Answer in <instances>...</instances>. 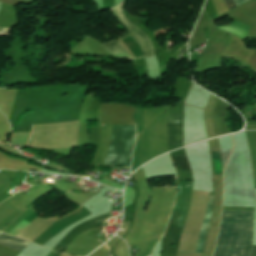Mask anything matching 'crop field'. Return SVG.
Segmentation results:
<instances>
[{
    "mask_svg": "<svg viewBox=\"0 0 256 256\" xmlns=\"http://www.w3.org/2000/svg\"><path fill=\"white\" fill-rule=\"evenodd\" d=\"M135 139L134 125L110 126L104 166L126 165Z\"/></svg>",
    "mask_w": 256,
    "mask_h": 256,
    "instance_id": "8a807250",
    "label": "crop field"
},
{
    "mask_svg": "<svg viewBox=\"0 0 256 256\" xmlns=\"http://www.w3.org/2000/svg\"><path fill=\"white\" fill-rule=\"evenodd\" d=\"M124 2L119 6L112 8V12L117 20L122 23L128 30V35L133 38L141 47L143 56L154 55L153 49L151 46L150 39L147 35L141 32L138 28H136L124 15Z\"/></svg>",
    "mask_w": 256,
    "mask_h": 256,
    "instance_id": "ac0d7876",
    "label": "crop field"
},
{
    "mask_svg": "<svg viewBox=\"0 0 256 256\" xmlns=\"http://www.w3.org/2000/svg\"><path fill=\"white\" fill-rule=\"evenodd\" d=\"M212 204H213V193H210L209 207H208L207 214H206V217L204 220L203 228L201 231V235L199 238V242H198V246H197L195 254L203 253L207 230H208V226H209V222H210V218H211Z\"/></svg>",
    "mask_w": 256,
    "mask_h": 256,
    "instance_id": "34b2d1b8",
    "label": "crop field"
},
{
    "mask_svg": "<svg viewBox=\"0 0 256 256\" xmlns=\"http://www.w3.org/2000/svg\"><path fill=\"white\" fill-rule=\"evenodd\" d=\"M103 47L115 58L119 59H132L131 56L126 52V50L121 46L118 40L103 43Z\"/></svg>",
    "mask_w": 256,
    "mask_h": 256,
    "instance_id": "412701ff",
    "label": "crop field"
},
{
    "mask_svg": "<svg viewBox=\"0 0 256 256\" xmlns=\"http://www.w3.org/2000/svg\"><path fill=\"white\" fill-rule=\"evenodd\" d=\"M0 244L6 245L8 247L21 251L25 246L29 244V242L19 238L12 237V236L4 235L1 233Z\"/></svg>",
    "mask_w": 256,
    "mask_h": 256,
    "instance_id": "f4fd0767",
    "label": "crop field"
},
{
    "mask_svg": "<svg viewBox=\"0 0 256 256\" xmlns=\"http://www.w3.org/2000/svg\"><path fill=\"white\" fill-rule=\"evenodd\" d=\"M182 125H168V144L182 141Z\"/></svg>",
    "mask_w": 256,
    "mask_h": 256,
    "instance_id": "dd49c442",
    "label": "crop field"
},
{
    "mask_svg": "<svg viewBox=\"0 0 256 256\" xmlns=\"http://www.w3.org/2000/svg\"><path fill=\"white\" fill-rule=\"evenodd\" d=\"M143 132L139 135H137L135 147H134V152H133V159H132V167H131V173L138 167H140V154H139V149H140V144H141V139H142Z\"/></svg>",
    "mask_w": 256,
    "mask_h": 256,
    "instance_id": "e52e79f7",
    "label": "crop field"
},
{
    "mask_svg": "<svg viewBox=\"0 0 256 256\" xmlns=\"http://www.w3.org/2000/svg\"><path fill=\"white\" fill-rule=\"evenodd\" d=\"M134 121L136 124L137 134H139L141 131H143V121H142V110L136 108L135 114H134Z\"/></svg>",
    "mask_w": 256,
    "mask_h": 256,
    "instance_id": "d8731c3e",
    "label": "crop field"
},
{
    "mask_svg": "<svg viewBox=\"0 0 256 256\" xmlns=\"http://www.w3.org/2000/svg\"><path fill=\"white\" fill-rule=\"evenodd\" d=\"M224 1H225L226 5L228 7V10L236 7L234 2H233V0H224ZM234 1H235L236 5L238 6V5L244 3V2H246L248 0H234Z\"/></svg>",
    "mask_w": 256,
    "mask_h": 256,
    "instance_id": "5a996713",
    "label": "crop field"
},
{
    "mask_svg": "<svg viewBox=\"0 0 256 256\" xmlns=\"http://www.w3.org/2000/svg\"><path fill=\"white\" fill-rule=\"evenodd\" d=\"M251 256H256V245H254L252 248Z\"/></svg>",
    "mask_w": 256,
    "mask_h": 256,
    "instance_id": "3316defc",
    "label": "crop field"
}]
</instances>
